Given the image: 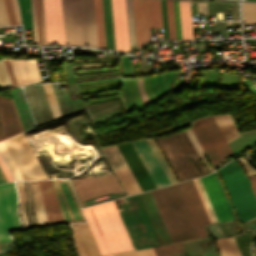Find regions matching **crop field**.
I'll use <instances>...</instances> for the list:
<instances>
[{
  "mask_svg": "<svg viewBox=\"0 0 256 256\" xmlns=\"http://www.w3.org/2000/svg\"><path fill=\"white\" fill-rule=\"evenodd\" d=\"M83 211L102 255L134 249L113 201Z\"/></svg>",
  "mask_w": 256,
  "mask_h": 256,
  "instance_id": "crop-field-1",
  "label": "crop field"
},
{
  "mask_svg": "<svg viewBox=\"0 0 256 256\" xmlns=\"http://www.w3.org/2000/svg\"><path fill=\"white\" fill-rule=\"evenodd\" d=\"M151 192L173 243L200 238L177 184Z\"/></svg>",
  "mask_w": 256,
  "mask_h": 256,
  "instance_id": "crop-field-2",
  "label": "crop field"
},
{
  "mask_svg": "<svg viewBox=\"0 0 256 256\" xmlns=\"http://www.w3.org/2000/svg\"><path fill=\"white\" fill-rule=\"evenodd\" d=\"M237 159L245 168L248 176L256 173V170L247 163L245 158L242 159V157H239ZM237 170H241V167L235 159L234 161L224 165L219 171L222 175ZM221 177L224 181V184L239 219L241 221H246L250 218L255 217L256 200L244 172L241 170L230 174L222 175Z\"/></svg>",
  "mask_w": 256,
  "mask_h": 256,
  "instance_id": "crop-field-3",
  "label": "crop field"
},
{
  "mask_svg": "<svg viewBox=\"0 0 256 256\" xmlns=\"http://www.w3.org/2000/svg\"><path fill=\"white\" fill-rule=\"evenodd\" d=\"M157 141L179 181L208 174V171L200 161L185 131L169 137L159 138ZM187 154H189L201 175L196 170Z\"/></svg>",
  "mask_w": 256,
  "mask_h": 256,
  "instance_id": "crop-field-4",
  "label": "crop field"
},
{
  "mask_svg": "<svg viewBox=\"0 0 256 256\" xmlns=\"http://www.w3.org/2000/svg\"><path fill=\"white\" fill-rule=\"evenodd\" d=\"M119 213L135 249L161 245L139 194L123 198Z\"/></svg>",
  "mask_w": 256,
  "mask_h": 256,
  "instance_id": "crop-field-5",
  "label": "crop field"
},
{
  "mask_svg": "<svg viewBox=\"0 0 256 256\" xmlns=\"http://www.w3.org/2000/svg\"><path fill=\"white\" fill-rule=\"evenodd\" d=\"M191 129L213 167L232 154L212 116L194 121Z\"/></svg>",
  "mask_w": 256,
  "mask_h": 256,
  "instance_id": "crop-field-6",
  "label": "crop field"
},
{
  "mask_svg": "<svg viewBox=\"0 0 256 256\" xmlns=\"http://www.w3.org/2000/svg\"><path fill=\"white\" fill-rule=\"evenodd\" d=\"M71 13L74 44L98 47L94 0H71Z\"/></svg>",
  "mask_w": 256,
  "mask_h": 256,
  "instance_id": "crop-field-7",
  "label": "crop field"
},
{
  "mask_svg": "<svg viewBox=\"0 0 256 256\" xmlns=\"http://www.w3.org/2000/svg\"><path fill=\"white\" fill-rule=\"evenodd\" d=\"M21 228L13 182L0 185V241L11 240L7 229Z\"/></svg>",
  "mask_w": 256,
  "mask_h": 256,
  "instance_id": "crop-field-8",
  "label": "crop field"
},
{
  "mask_svg": "<svg viewBox=\"0 0 256 256\" xmlns=\"http://www.w3.org/2000/svg\"><path fill=\"white\" fill-rule=\"evenodd\" d=\"M47 44H65L61 0H43Z\"/></svg>",
  "mask_w": 256,
  "mask_h": 256,
  "instance_id": "crop-field-9",
  "label": "crop field"
},
{
  "mask_svg": "<svg viewBox=\"0 0 256 256\" xmlns=\"http://www.w3.org/2000/svg\"><path fill=\"white\" fill-rule=\"evenodd\" d=\"M66 223L85 221L80 210L78 202L75 198L73 190L67 179L52 180Z\"/></svg>",
  "mask_w": 256,
  "mask_h": 256,
  "instance_id": "crop-field-10",
  "label": "crop field"
},
{
  "mask_svg": "<svg viewBox=\"0 0 256 256\" xmlns=\"http://www.w3.org/2000/svg\"><path fill=\"white\" fill-rule=\"evenodd\" d=\"M178 185L181 189V192L186 201V204L191 213V216L193 218V221L196 225V228L198 230L200 237L201 238L206 237L207 234L205 232L204 226L209 224L210 222L205 213V210L203 208V205L201 203V200L196 191L193 181L191 180V181L179 183Z\"/></svg>",
  "mask_w": 256,
  "mask_h": 256,
  "instance_id": "crop-field-11",
  "label": "crop field"
},
{
  "mask_svg": "<svg viewBox=\"0 0 256 256\" xmlns=\"http://www.w3.org/2000/svg\"><path fill=\"white\" fill-rule=\"evenodd\" d=\"M132 144L142 160L146 170L153 180L156 188L169 185V182L159 166L155 156L150 147L144 139L132 141Z\"/></svg>",
  "mask_w": 256,
  "mask_h": 256,
  "instance_id": "crop-field-12",
  "label": "crop field"
},
{
  "mask_svg": "<svg viewBox=\"0 0 256 256\" xmlns=\"http://www.w3.org/2000/svg\"><path fill=\"white\" fill-rule=\"evenodd\" d=\"M118 147L126 162L128 163L132 173L134 174L137 182L139 183L142 191L154 189L155 186L147 171L145 170L141 160L139 159L136 151L134 150L131 142L120 144Z\"/></svg>",
  "mask_w": 256,
  "mask_h": 256,
  "instance_id": "crop-field-13",
  "label": "crop field"
},
{
  "mask_svg": "<svg viewBox=\"0 0 256 256\" xmlns=\"http://www.w3.org/2000/svg\"><path fill=\"white\" fill-rule=\"evenodd\" d=\"M219 221L233 220L213 173L200 178Z\"/></svg>",
  "mask_w": 256,
  "mask_h": 256,
  "instance_id": "crop-field-14",
  "label": "crop field"
},
{
  "mask_svg": "<svg viewBox=\"0 0 256 256\" xmlns=\"http://www.w3.org/2000/svg\"><path fill=\"white\" fill-rule=\"evenodd\" d=\"M116 50L129 52L124 0H111Z\"/></svg>",
  "mask_w": 256,
  "mask_h": 256,
  "instance_id": "crop-field-15",
  "label": "crop field"
},
{
  "mask_svg": "<svg viewBox=\"0 0 256 256\" xmlns=\"http://www.w3.org/2000/svg\"><path fill=\"white\" fill-rule=\"evenodd\" d=\"M137 49L151 40L147 0H133Z\"/></svg>",
  "mask_w": 256,
  "mask_h": 256,
  "instance_id": "crop-field-16",
  "label": "crop field"
},
{
  "mask_svg": "<svg viewBox=\"0 0 256 256\" xmlns=\"http://www.w3.org/2000/svg\"><path fill=\"white\" fill-rule=\"evenodd\" d=\"M72 228L74 243L79 256L101 255L87 223H79Z\"/></svg>",
  "mask_w": 256,
  "mask_h": 256,
  "instance_id": "crop-field-17",
  "label": "crop field"
},
{
  "mask_svg": "<svg viewBox=\"0 0 256 256\" xmlns=\"http://www.w3.org/2000/svg\"><path fill=\"white\" fill-rule=\"evenodd\" d=\"M0 140L22 132L10 99L0 97Z\"/></svg>",
  "mask_w": 256,
  "mask_h": 256,
  "instance_id": "crop-field-18",
  "label": "crop field"
},
{
  "mask_svg": "<svg viewBox=\"0 0 256 256\" xmlns=\"http://www.w3.org/2000/svg\"><path fill=\"white\" fill-rule=\"evenodd\" d=\"M48 222H64L51 180L38 181Z\"/></svg>",
  "mask_w": 256,
  "mask_h": 256,
  "instance_id": "crop-field-19",
  "label": "crop field"
},
{
  "mask_svg": "<svg viewBox=\"0 0 256 256\" xmlns=\"http://www.w3.org/2000/svg\"><path fill=\"white\" fill-rule=\"evenodd\" d=\"M6 148L11 154L13 160L15 161L17 167L22 173L25 180L36 179L33 171L31 170L28 162L26 161L24 155L22 154L19 146L17 145L15 139L12 137L4 141Z\"/></svg>",
  "mask_w": 256,
  "mask_h": 256,
  "instance_id": "crop-field-20",
  "label": "crop field"
},
{
  "mask_svg": "<svg viewBox=\"0 0 256 256\" xmlns=\"http://www.w3.org/2000/svg\"><path fill=\"white\" fill-rule=\"evenodd\" d=\"M162 245L170 244L148 192L140 194Z\"/></svg>",
  "mask_w": 256,
  "mask_h": 256,
  "instance_id": "crop-field-21",
  "label": "crop field"
},
{
  "mask_svg": "<svg viewBox=\"0 0 256 256\" xmlns=\"http://www.w3.org/2000/svg\"><path fill=\"white\" fill-rule=\"evenodd\" d=\"M14 138V137H13ZM15 139L20 146L23 154L25 155L27 161L29 162L32 170L34 171L37 179L47 178L45 172L43 171L40 163L38 162L36 156L34 155L32 149L30 148L27 140L25 139L23 133L15 136Z\"/></svg>",
  "mask_w": 256,
  "mask_h": 256,
  "instance_id": "crop-field-22",
  "label": "crop field"
},
{
  "mask_svg": "<svg viewBox=\"0 0 256 256\" xmlns=\"http://www.w3.org/2000/svg\"><path fill=\"white\" fill-rule=\"evenodd\" d=\"M31 189H32V196H33V206H34V213L37 220V224L40 226L47 225V219L38 187L37 181H30Z\"/></svg>",
  "mask_w": 256,
  "mask_h": 256,
  "instance_id": "crop-field-23",
  "label": "crop field"
},
{
  "mask_svg": "<svg viewBox=\"0 0 256 256\" xmlns=\"http://www.w3.org/2000/svg\"><path fill=\"white\" fill-rule=\"evenodd\" d=\"M182 39H193L189 2L179 1Z\"/></svg>",
  "mask_w": 256,
  "mask_h": 256,
  "instance_id": "crop-field-24",
  "label": "crop field"
},
{
  "mask_svg": "<svg viewBox=\"0 0 256 256\" xmlns=\"http://www.w3.org/2000/svg\"><path fill=\"white\" fill-rule=\"evenodd\" d=\"M26 84L40 82L41 77L35 60H17Z\"/></svg>",
  "mask_w": 256,
  "mask_h": 256,
  "instance_id": "crop-field-25",
  "label": "crop field"
},
{
  "mask_svg": "<svg viewBox=\"0 0 256 256\" xmlns=\"http://www.w3.org/2000/svg\"><path fill=\"white\" fill-rule=\"evenodd\" d=\"M103 11H104L107 48L115 50L110 0H103Z\"/></svg>",
  "mask_w": 256,
  "mask_h": 256,
  "instance_id": "crop-field-26",
  "label": "crop field"
},
{
  "mask_svg": "<svg viewBox=\"0 0 256 256\" xmlns=\"http://www.w3.org/2000/svg\"><path fill=\"white\" fill-rule=\"evenodd\" d=\"M116 173L121 180L123 186L125 187L128 195L141 192V189L136 182L134 176L132 175L129 167L116 170Z\"/></svg>",
  "mask_w": 256,
  "mask_h": 256,
  "instance_id": "crop-field-27",
  "label": "crop field"
},
{
  "mask_svg": "<svg viewBox=\"0 0 256 256\" xmlns=\"http://www.w3.org/2000/svg\"><path fill=\"white\" fill-rule=\"evenodd\" d=\"M219 128L221 129L226 141H230L239 136L235 126L233 125L229 115L214 116Z\"/></svg>",
  "mask_w": 256,
  "mask_h": 256,
  "instance_id": "crop-field-28",
  "label": "crop field"
},
{
  "mask_svg": "<svg viewBox=\"0 0 256 256\" xmlns=\"http://www.w3.org/2000/svg\"><path fill=\"white\" fill-rule=\"evenodd\" d=\"M216 245L221 256H241L233 237L218 239Z\"/></svg>",
  "mask_w": 256,
  "mask_h": 256,
  "instance_id": "crop-field-29",
  "label": "crop field"
},
{
  "mask_svg": "<svg viewBox=\"0 0 256 256\" xmlns=\"http://www.w3.org/2000/svg\"><path fill=\"white\" fill-rule=\"evenodd\" d=\"M148 3L151 28H155V37L157 38L156 28L162 27L160 0H148Z\"/></svg>",
  "mask_w": 256,
  "mask_h": 256,
  "instance_id": "crop-field-30",
  "label": "crop field"
},
{
  "mask_svg": "<svg viewBox=\"0 0 256 256\" xmlns=\"http://www.w3.org/2000/svg\"><path fill=\"white\" fill-rule=\"evenodd\" d=\"M96 21L99 47L106 48L103 22L102 0H95Z\"/></svg>",
  "mask_w": 256,
  "mask_h": 256,
  "instance_id": "crop-field-31",
  "label": "crop field"
},
{
  "mask_svg": "<svg viewBox=\"0 0 256 256\" xmlns=\"http://www.w3.org/2000/svg\"><path fill=\"white\" fill-rule=\"evenodd\" d=\"M145 140L148 142L149 146L151 147L154 155L156 156L159 164L161 165V167H162L165 175L167 176L170 184L176 183V180H175L173 174L171 173L169 167L167 166L165 160L163 159V157H162L161 153L159 152L157 146L155 145L153 139H145Z\"/></svg>",
  "mask_w": 256,
  "mask_h": 256,
  "instance_id": "crop-field-32",
  "label": "crop field"
},
{
  "mask_svg": "<svg viewBox=\"0 0 256 256\" xmlns=\"http://www.w3.org/2000/svg\"><path fill=\"white\" fill-rule=\"evenodd\" d=\"M126 1L127 19H128V31H129V45L130 47H136L135 43V30H134V16H133V3L132 0Z\"/></svg>",
  "mask_w": 256,
  "mask_h": 256,
  "instance_id": "crop-field-33",
  "label": "crop field"
},
{
  "mask_svg": "<svg viewBox=\"0 0 256 256\" xmlns=\"http://www.w3.org/2000/svg\"><path fill=\"white\" fill-rule=\"evenodd\" d=\"M154 249L157 253V256H171L185 253L184 246L182 243L165 247H157Z\"/></svg>",
  "mask_w": 256,
  "mask_h": 256,
  "instance_id": "crop-field-34",
  "label": "crop field"
},
{
  "mask_svg": "<svg viewBox=\"0 0 256 256\" xmlns=\"http://www.w3.org/2000/svg\"><path fill=\"white\" fill-rule=\"evenodd\" d=\"M195 180H196L197 185H198V187H199V189H200V192H201V194H202V197H203V199H204V202H205L206 207H207V209H208V211H209V214H210V216H211L212 221H213V222L218 221L217 218H216V216H215V213H214V211H213V209H212V206H211V204H210V202H209V200H208V197H207V195H206V193H205V190H204V188H203V186H202V183H201L200 179H199V178H196ZM195 180L193 179V181H194V183H195V186H196V188H197V190H198V187H197V185H196ZM200 192H199V190H198V193H199V195H200V198H201V200H202V203H203V205H204V208H205V210H206V212H207V209H206V207H205V204H204V202H203V199H202V197H201ZM209 214H208V212H207V215H208V217H209V220H210V222L212 223Z\"/></svg>",
  "mask_w": 256,
  "mask_h": 256,
  "instance_id": "crop-field-35",
  "label": "crop field"
},
{
  "mask_svg": "<svg viewBox=\"0 0 256 256\" xmlns=\"http://www.w3.org/2000/svg\"><path fill=\"white\" fill-rule=\"evenodd\" d=\"M42 85H43L53 118L55 119V118L60 117L61 115H60L51 85L50 84H42Z\"/></svg>",
  "mask_w": 256,
  "mask_h": 256,
  "instance_id": "crop-field-36",
  "label": "crop field"
},
{
  "mask_svg": "<svg viewBox=\"0 0 256 256\" xmlns=\"http://www.w3.org/2000/svg\"><path fill=\"white\" fill-rule=\"evenodd\" d=\"M24 29H32L30 0H19Z\"/></svg>",
  "mask_w": 256,
  "mask_h": 256,
  "instance_id": "crop-field-37",
  "label": "crop field"
},
{
  "mask_svg": "<svg viewBox=\"0 0 256 256\" xmlns=\"http://www.w3.org/2000/svg\"><path fill=\"white\" fill-rule=\"evenodd\" d=\"M243 22L256 23V4L243 3Z\"/></svg>",
  "mask_w": 256,
  "mask_h": 256,
  "instance_id": "crop-field-38",
  "label": "crop field"
},
{
  "mask_svg": "<svg viewBox=\"0 0 256 256\" xmlns=\"http://www.w3.org/2000/svg\"><path fill=\"white\" fill-rule=\"evenodd\" d=\"M0 152L3 156V158L5 159L7 165L9 166L11 172L13 173L14 177L16 180H20L23 179L21 174L19 173L16 165L14 164L12 158L10 157L7 149L5 148L3 142L0 143Z\"/></svg>",
  "mask_w": 256,
  "mask_h": 256,
  "instance_id": "crop-field-39",
  "label": "crop field"
},
{
  "mask_svg": "<svg viewBox=\"0 0 256 256\" xmlns=\"http://www.w3.org/2000/svg\"><path fill=\"white\" fill-rule=\"evenodd\" d=\"M166 4H167L170 39L176 40L173 1L166 0Z\"/></svg>",
  "mask_w": 256,
  "mask_h": 256,
  "instance_id": "crop-field-40",
  "label": "crop field"
},
{
  "mask_svg": "<svg viewBox=\"0 0 256 256\" xmlns=\"http://www.w3.org/2000/svg\"><path fill=\"white\" fill-rule=\"evenodd\" d=\"M18 190H19V198H20V208H21V214H22V219L24 223V227L28 228L29 223L27 221L26 215L24 213V206H25V190L22 182H16Z\"/></svg>",
  "mask_w": 256,
  "mask_h": 256,
  "instance_id": "crop-field-41",
  "label": "crop field"
},
{
  "mask_svg": "<svg viewBox=\"0 0 256 256\" xmlns=\"http://www.w3.org/2000/svg\"><path fill=\"white\" fill-rule=\"evenodd\" d=\"M11 82L9 80L6 68L4 66L3 60H0V88H6V87H10Z\"/></svg>",
  "mask_w": 256,
  "mask_h": 256,
  "instance_id": "crop-field-42",
  "label": "crop field"
},
{
  "mask_svg": "<svg viewBox=\"0 0 256 256\" xmlns=\"http://www.w3.org/2000/svg\"><path fill=\"white\" fill-rule=\"evenodd\" d=\"M115 256H156L153 252L152 248L131 251V252H124V253H117Z\"/></svg>",
  "mask_w": 256,
  "mask_h": 256,
  "instance_id": "crop-field-43",
  "label": "crop field"
},
{
  "mask_svg": "<svg viewBox=\"0 0 256 256\" xmlns=\"http://www.w3.org/2000/svg\"><path fill=\"white\" fill-rule=\"evenodd\" d=\"M3 2H4V6L8 16L9 24L10 25L17 24L10 0H3Z\"/></svg>",
  "mask_w": 256,
  "mask_h": 256,
  "instance_id": "crop-field-44",
  "label": "crop field"
},
{
  "mask_svg": "<svg viewBox=\"0 0 256 256\" xmlns=\"http://www.w3.org/2000/svg\"><path fill=\"white\" fill-rule=\"evenodd\" d=\"M66 12H67V25H68L69 44H73L72 25H71V13H70V0H66Z\"/></svg>",
  "mask_w": 256,
  "mask_h": 256,
  "instance_id": "crop-field-45",
  "label": "crop field"
},
{
  "mask_svg": "<svg viewBox=\"0 0 256 256\" xmlns=\"http://www.w3.org/2000/svg\"><path fill=\"white\" fill-rule=\"evenodd\" d=\"M161 4H162L163 23H164V28H163L164 38L169 39L165 0H161Z\"/></svg>",
  "mask_w": 256,
  "mask_h": 256,
  "instance_id": "crop-field-46",
  "label": "crop field"
},
{
  "mask_svg": "<svg viewBox=\"0 0 256 256\" xmlns=\"http://www.w3.org/2000/svg\"><path fill=\"white\" fill-rule=\"evenodd\" d=\"M208 75H209V70H207L206 88H207V83H208ZM208 87L218 88L217 75H216V72L213 70H210Z\"/></svg>",
  "mask_w": 256,
  "mask_h": 256,
  "instance_id": "crop-field-47",
  "label": "crop field"
},
{
  "mask_svg": "<svg viewBox=\"0 0 256 256\" xmlns=\"http://www.w3.org/2000/svg\"><path fill=\"white\" fill-rule=\"evenodd\" d=\"M31 7H32V18H33V28H34V39H35V44H38L37 25H36V11H35V0H31Z\"/></svg>",
  "mask_w": 256,
  "mask_h": 256,
  "instance_id": "crop-field-48",
  "label": "crop field"
},
{
  "mask_svg": "<svg viewBox=\"0 0 256 256\" xmlns=\"http://www.w3.org/2000/svg\"><path fill=\"white\" fill-rule=\"evenodd\" d=\"M174 7H175V20H176V34H177V40H179L181 39V34H180L178 1H174Z\"/></svg>",
  "mask_w": 256,
  "mask_h": 256,
  "instance_id": "crop-field-49",
  "label": "crop field"
},
{
  "mask_svg": "<svg viewBox=\"0 0 256 256\" xmlns=\"http://www.w3.org/2000/svg\"><path fill=\"white\" fill-rule=\"evenodd\" d=\"M0 25H9L2 0H0Z\"/></svg>",
  "mask_w": 256,
  "mask_h": 256,
  "instance_id": "crop-field-50",
  "label": "crop field"
},
{
  "mask_svg": "<svg viewBox=\"0 0 256 256\" xmlns=\"http://www.w3.org/2000/svg\"><path fill=\"white\" fill-rule=\"evenodd\" d=\"M43 44H46L42 0H39Z\"/></svg>",
  "mask_w": 256,
  "mask_h": 256,
  "instance_id": "crop-field-51",
  "label": "crop field"
},
{
  "mask_svg": "<svg viewBox=\"0 0 256 256\" xmlns=\"http://www.w3.org/2000/svg\"><path fill=\"white\" fill-rule=\"evenodd\" d=\"M13 86H18L7 59H3Z\"/></svg>",
  "mask_w": 256,
  "mask_h": 256,
  "instance_id": "crop-field-52",
  "label": "crop field"
},
{
  "mask_svg": "<svg viewBox=\"0 0 256 256\" xmlns=\"http://www.w3.org/2000/svg\"><path fill=\"white\" fill-rule=\"evenodd\" d=\"M62 8H63V18H64L65 39H66V44H68L67 25H66V12H65V0H62Z\"/></svg>",
  "mask_w": 256,
  "mask_h": 256,
  "instance_id": "crop-field-53",
  "label": "crop field"
},
{
  "mask_svg": "<svg viewBox=\"0 0 256 256\" xmlns=\"http://www.w3.org/2000/svg\"><path fill=\"white\" fill-rule=\"evenodd\" d=\"M0 167L2 168V170H3L4 174L6 175L8 181L13 180L11 175H10V173H9V171L7 170L5 164L3 163L1 157H0Z\"/></svg>",
  "mask_w": 256,
  "mask_h": 256,
  "instance_id": "crop-field-54",
  "label": "crop field"
},
{
  "mask_svg": "<svg viewBox=\"0 0 256 256\" xmlns=\"http://www.w3.org/2000/svg\"><path fill=\"white\" fill-rule=\"evenodd\" d=\"M198 12H203L204 15L208 14L206 3H197Z\"/></svg>",
  "mask_w": 256,
  "mask_h": 256,
  "instance_id": "crop-field-55",
  "label": "crop field"
},
{
  "mask_svg": "<svg viewBox=\"0 0 256 256\" xmlns=\"http://www.w3.org/2000/svg\"><path fill=\"white\" fill-rule=\"evenodd\" d=\"M11 2H12V5H13V9H14V12H15L17 23L21 24L16 0H11Z\"/></svg>",
  "mask_w": 256,
  "mask_h": 256,
  "instance_id": "crop-field-56",
  "label": "crop field"
},
{
  "mask_svg": "<svg viewBox=\"0 0 256 256\" xmlns=\"http://www.w3.org/2000/svg\"><path fill=\"white\" fill-rule=\"evenodd\" d=\"M249 179L251 181L250 185L252 187V190L255 194V197H256V175H253V176H249Z\"/></svg>",
  "mask_w": 256,
  "mask_h": 256,
  "instance_id": "crop-field-57",
  "label": "crop field"
},
{
  "mask_svg": "<svg viewBox=\"0 0 256 256\" xmlns=\"http://www.w3.org/2000/svg\"><path fill=\"white\" fill-rule=\"evenodd\" d=\"M154 78H155V76H151L150 84H151V88H152L153 92L155 93V95H156V96L158 97V99H159V98H161V97H160L159 93L157 92V90H156V88H155V86H154Z\"/></svg>",
  "mask_w": 256,
  "mask_h": 256,
  "instance_id": "crop-field-58",
  "label": "crop field"
},
{
  "mask_svg": "<svg viewBox=\"0 0 256 256\" xmlns=\"http://www.w3.org/2000/svg\"><path fill=\"white\" fill-rule=\"evenodd\" d=\"M6 181H7V179L0 168V183L6 182Z\"/></svg>",
  "mask_w": 256,
  "mask_h": 256,
  "instance_id": "crop-field-59",
  "label": "crop field"
},
{
  "mask_svg": "<svg viewBox=\"0 0 256 256\" xmlns=\"http://www.w3.org/2000/svg\"><path fill=\"white\" fill-rule=\"evenodd\" d=\"M135 85H136V79H135ZM135 85H134V80H133L134 90H135ZM136 90H137V88H136ZM137 92H138V90H137ZM135 94H136L137 100H138V102H139V105H140V107H141L142 102H141V104H140V101H141L140 96H139V99H140V101H139L136 91H135ZM138 95H139V93H138ZM141 108H142V107H141Z\"/></svg>",
  "mask_w": 256,
  "mask_h": 256,
  "instance_id": "crop-field-60",
  "label": "crop field"
},
{
  "mask_svg": "<svg viewBox=\"0 0 256 256\" xmlns=\"http://www.w3.org/2000/svg\"><path fill=\"white\" fill-rule=\"evenodd\" d=\"M118 97V96H117ZM111 98H113V97H111ZM106 99H108V98H106ZM121 99V101H122V104H123V106H124V108H125V112H128L127 111V109H126V106H125V102H124V99H122V98H120ZM102 100V99H101ZM95 101H97V100H95ZM90 102H92V101H90ZM84 103H87L86 101H84Z\"/></svg>",
  "mask_w": 256,
  "mask_h": 256,
  "instance_id": "crop-field-61",
  "label": "crop field"
},
{
  "mask_svg": "<svg viewBox=\"0 0 256 256\" xmlns=\"http://www.w3.org/2000/svg\"><path fill=\"white\" fill-rule=\"evenodd\" d=\"M118 85H120V84L108 86V87H102V88L88 89V90L104 89V88H110V87H114V86H118ZM79 91H86V90H79Z\"/></svg>",
  "mask_w": 256,
  "mask_h": 256,
  "instance_id": "crop-field-62",
  "label": "crop field"
},
{
  "mask_svg": "<svg viewBox=\"0 0 256 256\" xmlns=\"http://www.w3.org/2000/svg\"><path fill=\"white\" fill-rule=\"evenodd\" d=\"M130 90H131V92H132L134 102L137 103V101H136V99H135V96H134V92H133V90H132V80H130Z\"/></svg>",
  "mask_w": 256,
  "mask_h": 256,
  "instance_id": "crop-field-63",
  "label": "crop field"
},
{
  "mask_svg": "<svg viewBox=\"0 0 256 256\" xmlns=\"http://www.w3.org/2000/svg\"><path fill=\"white\" fill-rule=\"evenodd\" d=\"M127 90L130 94V91H129V80L127 79ZM130 98H131V101H132V105L134 106V103H133V100H132V97H131V94H130Z\"/></svg>",
  "mask_w": 256,
  "mask_h": 256,
  "instance_id": "crop-field-64",
  "label": "crop field"
},
{
  "mask_svg": "<svg viewBox=\"0 0 256 256\" xmlns=\"http://www.w3.org/2000/svg\"><path fill=\"white\" fill-rule=\"evenodd\" d=\"M11 100H12V103H13V105H14V102H13V99L11 98ZM14 108H15V111H16V114H17V116H18V113H17V110H16V107H15V105H14ZM18 119H19V116H18ZM19 122H20V119H19ZM20 125H21V127H22V124H21V122H20ZM22 130H23V127H22ZM24 131V130H23Z\"/></svg>",
  "mask_w": 256,
  "mask_h": 256,
  "instance_id": "crop-field-65",
  "label": "crop field"
},
{
  "mask_svg": "<svg viewBox=\"0 0 256 256\" xmlns=\"http://www.w3.org/2000/svg\"><path fill=\"white\" fill-rule=\"evenodd\" d=\"M115 82H118V81H115ZM108 83H111V82H108ZM100 84H104V83H100ZM92 85H97V84H92ZM83 86H91V85H83ZM83 86H78V87H83ZM97 86H100V85H97ZM91 87H94V86H91ZM83 88H85V87H83Z\"/></svg>",
  "mask_w": 256,
  "mask_h": 256,
  "instance_id": "crop-field-66",
  "label": "crop field"
},
{
  "mask_svg": "<svg viewBox=\"0 0 256 256\" xmlns=\"http://www.w3.org/2000/svg\"><path fill=\"white\" fill-rule=\"evenodd\" d=\"M148 84H149V76H148ZM148 84H147V85H148ZM148 89H149V87H148ZM151 91H152V90H151ZM151 91H150V89H149V92H150V93H151ZM152 93H153V92H152ZM153 94H154V93H153ZM151 95H152V94H151ZM152 96H153V95H152ZM153 97H154V96H153ZM155 97H156V96H155ZM154 99H155V98H154ZM156 99H157V97H156ZM156 99H155V101L158 100V99H157V100H156Z\"/></svg>",
  "mask_w": 256,
  "mask_h": 256,
  "instance_id": "crop-field-67",
  "label": "crop field"
},
{
  "mask_svg": "<svg viewBox=\"0 0 256 256\" xmlns=\"http://www.w3.org/2000/svg\"><path fill=\"white\" fill-rule=\"evenodd\" d=\"M92 62H103V61H92ZM113 62H117V61H113ZM76 63H83V62H73V64H76Z\"/></svg>",
  "mask_w": 256,
  "mask_h": 256,
  "instance_id": "crop-field-68",
  "label": "crop field"
},
{
  "mask_svg": "<svg viewBox=\"0 0 256 256\" xmlns=\"http://www.w3.org/2000/svg\"><path fill=\"white\" fill-rule=\"evenodd\" d=\"M146 87H147V85H146ZM146 91H147V93H148L149 97L151 98L152 102H154V99L151 97V95L149 94V92H148V90H147V89H146Z\"/></svg>",
  "mask_w": 256,
  "mask_h": 256,
  "instance_id": "crop-field-69",
  "label": "crop field"
},
{
  "mask_svg": "<svg viewBox=\"0 0 256 256\" xmlns=\"http://www.w3.org/2000/svg\"><path fill=\"white\" fill-rule=\"evenodd\" d=\"M250 223H252V224H255V225H256V219H254V220L250 221Z\"/></svg>",
  "mask_w": 256,
  "mask_h": 256,
  "instance_id": "crop-field-70",
  "label": "crop field"
},
{
  "mask_svg": "<svg viewBox=\"0 0 256 256\" xmlns=\"http://www.w3.org/2000/svg\"><path fill=\"white\" fill-rule=\"evenodd\" d=\"M106 256H113V255H106Z\"/></svg>",
  "mask_w": 256,
  "mask_h": 256,
  "instance_id": "crop-field-71",
  "label": "crop field"
},
{
  "mask_svg": "<svg viewBox=\"0 0 256 256\" xmlns=\"http://www.w3.org/2000/svg\"><path fill=\"white\" fill-rule=\"evenodd\" d=\"M93 59H99V58H93Z\"/></svg>",
  "mask_w": 256,
  "mask_h": 256,
  "instance_id": "crop-field-72",
  "label": "crop field"
},
{
  "mask_svg": "<svg viewBox=\"0 0 256 256\" xmlns=\"http://www.w3.org/2000/svg\"><path fill=\"white\" fill-rule=\"evenodd\" d=\"M149 98V97H148ZM150 100V99H149ZM151 101V100H150ZM152 103V102H151Z\"/></svg>",
  "mask_w": 256,
  "mask_h": 256,
  "instance_id": "crop-field-73",
  "label": "crop field"
}]
</instances>
